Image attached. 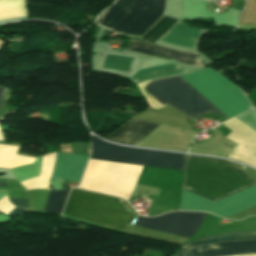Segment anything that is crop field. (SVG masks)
Masks as SVG:
<instances>
[{"label":"crop field","mask_w":256,"mask_h":256,"mask_svg":"<svg viewBox=\"0 0 256 256\" xmlns=\"http://www.w3.org/2000/svg\"><path fill=\"white\" fill-rule=\"evenodd\" d=\"M256 205V185L213 202L182 189L179 210L207 211L221 217Z\"/></svg>","instance_id":"7"},{"label":"crop field","mask_w":256,"mask_h":256,"mask_svg":"<svg viewBox=\"0 0 256 256\" xmlns=\"http://www.w3.org/2000/svg\"><path fill=\"white\" fill-rule=\"evenodd\" d=\"M198 35L199 30L178 23L161 40L192 48Z\"/></svg>","instance_id":"13"},{"label":"crop field","mask_w":256,"mask_h":256,"mask_svg":"<svg viewBox=\"0 0 256 256\" xmlns=\"http://www.w3.org/2000/svg\"><path fill=\"white\" fill-rule=\"evenodd\" d=\"M159 125V123L131 118L117 132L105 139L124 145H136Z\"/></svg>","instance_id":"11"},{"label":"crop field","mask_w":256,"mask_h":256,"mask_svg":"<svg viewBox=\"0 0 256 256\" xmlns=\"http://www.w3.org/2000/svg\"><path fill=\"white\" fill-rule=\"evenodd\" d=\"M127 49L140 52L149 56L160 57L167 60L171 58L186 64L204 67L201 61L195 57V54L177 52V51L170 50L168 48L156 46L146 42L140 43L136 41H130V44L127 47ZM183 72L184 71H182L180 68L174 65L168 64V65L136 70L132 72L131 76L134 79L141 82L151 78L175 75Z\"/></svg>","instance_id":"8"},{"label":"crop field","mask_w":256,"mask_h":256,"mask_svg":"<svg viewBox=\"0 0 256 256\" xmlns=\"http://www.w3.org/2000/svg\"><path fill=\"white\" fill-rule=\"evenodd\" d=\"M244 240H256V231H244L215 235L192 241L183 245L181 248ZM246 253H256V241H244L185 248L180 249L174 256H229Z\"/></svg>","instance_id":"6"},{"label":"crop field","mask_w":256,"mask_h":256,"mask_svg":"<svg viewBox=\"0 0 256 256\" xmlns=\"http://www.w3.org/2000/svg\"><path fill=\"white\" fill-rule=\"evenodd\" d=\"M246 256H256V255H246Z\"/></svg>","instance_id":"23"},{"label":"crop field","mask_w":256,"mask_h":256,"mask_svg":"<svg viewBox=\"0 0 256 256\" xmlns=\"http://www.w3.org/2000/svg\"><path fill=\"white\" fill-rule=\"evenodd\" d=\"M163 10L164 0H118L97 24L122 33L142 35Z\"/></svg>","instance_id":"4"},{"label":"crop field","mask_w":256,"mask_h":256,"mask_svg":"<svg viewBox=\"0 0 256 256\" xmlns=\"http://www.w3.org/2000/svg\"><path fill=\"white\" fill-rule=\"evenodd\" d=\"M205 216L197 212H169L151 218L138 215L134 225L190 238Z\"/></svg>","instance_id":"9"},{"label":"crop field","mask_w":256,"mask_h":256,"mask_svg":"<svg viewBox=\"0 0 256 256\" xmlns=\"http://www.w3.org/2000/svg\"><path fill=\"white\" fill-rule=\"evenodd\" d=\"M91 159L180 170L183 154L119 147L91 136ZM185 157L183 156L182 168Z\"/></svg>","instance_id":"5"},{"label":"crop field","mask_w":256,"mask_h":256,"mask_svg":"<svg viewBox=\"0 0 256 256\" xmlns=\"http://www.w3.org/2000/svg\"><path fill=\"white\" fill-rule=\"evenodd\" d=\"M189 155L187 158V163H186V169H185V174H184V180H183V186L184 188L185 181H186V175H187V170H188V165H189ZM194 157H200V156H194ZM191 157L190 159V165H189V170H188V175H187V181H186V188L198 192L200 194H203L205 196L211 197L213 199H218L224 195H227L233 191H236L242 187H245L251 182L253 184L249 185L252 186L256 184L254 181H252L249 177H247L244 173H242L239 169L235 168L231 164H229L226 161L219 160V159H214V158H207V157H200V158H207V159H213V160H218V161H213V160H207V159H200V158H194ZM247 186V187H249ZM245 187V188H247ZM244 189V188H242ZM240 189V190H242ZM187 190V189H185ZM188 190V191H190ZM238 190V191H240ZM190 191V192H192ZM193 192V193H195ZM237 192V191H236ZM195 193V194H198ZM235 193V192H233ZM198 194V195H200ZM232 194V193H231ZM201 195V196H203ZM230 195V194H229ZM203 196V197H205ZM228 196V195H227ZM206 197V198H208ZM225 197V196H224ZM208 198V199H211ZM223 198V197H222ZM211 199V200H213ZM216 201V200H213Z\"/></svg>","instance_id":"2"},{"label":"crop field","mask_w":256,"mask_h":256,"mask_svg":"<svg viewBox=\"0 0 256 256\" xmlns=\"http://www.w3.org/2000/svg\"><path fill=\"white\" fill-rule=\"evenodd\" d=\"M17 148L0 145V167L13 168L34 162V158L15 155Z\"/></svg>","instance_id":"14"},{"label":"crop field","mask_w":256,"mask_h":256,"mask_svg":"<svg viewBox=\"0 0 256 256\" xmlns=\"http://www.w3.org/2000/svg\"><path fill=\"white\" fill-rule=\"evenodd\" d=\"M4 92H5V89L0 88V103H1Z\"/></svg>","instance_id":"20"},{"label":"crop field","mask_w":256,"mask_h":256,"mask_svg":"<svg viewBox=\"0 0 256 256\" xmlns=\"http://www.w3.org/2000/svg\"><path fill=\"white\" fill-rule=\"evenodd\" d=\"M131 59L129 57L107 55L103 66L129 69Z\"/></svg>","instance_id":"17"},{"label":"crop field","mask_w":256,"mask_h":256,"mask_svg":"<svg viewBox=\"0 0 256 256\" xmlns=\"http://www.w3.org/2000/svg\"><path fill=\"white\" fill-rule=\"evenodd\" d=\"M0 186H6V182H0Z\"/></svg>","instance_id":"21"},{"label":"crop field","mask_w":256,"mask_h":256,"mask_svg":"<svg viewBox=\"0 0 256 256\" xmlns=\"http://www.w3.org/2000/svg\"><path fill=\"white\" fill-rule=\"evenodd\" d=\"M176 21L177 19L162 16L141 39L155 43Z\"/></svg>","instance_id":"15"},{"label":"crop field","mask_w":256,"mask_h":256,"mask_svg":"<svg viewBox=\"0 0 256 256\" xmlns=\"http://www.w3.org/2000/svg\"><path fill=\"white\" fill-rule=\"evenodd\" d=\"M9 200L18 207L28 208L27 199L9 198Z\"/></svg>","instance_id":"18"},{"label":"crop field","mask_w":256,"mask_h":256,"mask_svg":"<svg viewBox=\"0 0 256 256\" xmlns=\"http://www.w3.org/2000/svg\"><path fill=\"white\" fill-rule=\"evenodd\" d=\"M180 79L184 84H186L189 88L193 87L197 92H199L202 96H204L208 101H210L214 106H216L220 111H222L229 118L240 114L250 108H252L251 104L248 100L243 96L242 92L239 88L234 85L232 82L227 80L225 77L217 73L210 67H207L197 73L185 74L181 75V78L175 76ZM175 77H169L164 79L152 80L148 81L141 88L152 97L161 107L164 106L165 101L170 100L176 107L186 111L188 114L194 116L204 111L208 110H217V111H208V112H216L224 115L220 112L216 107H214L210 102H208L205 98H203L199 93H197L193 88L189 89L186 85H184L180 80L172 79L160 82L159 80L171 79ZM150 83L149 85H147ZM147 85V86H146ZM146 86V87H145ZM154 95L152 96L145 88ZM171 102L168 103L174 107L175 109L181 111L185 115L196 118L202 114H206L208 112H204L202 114L196 115L194 117L188 115L184 111L176 108ZM224 115V116H225ZM225 116V117H226ZM226 117L227 119H229Z\"/></svg>","instance_id":"1"},{"label":"crop field","mask_w":256,"mask_h":256,"mask_svg":"<svg viewBox=\"0 0 256 256\" xmlns=\"http://www.w3.org/2000/svg\"><path fill=\"white\" fill-rule=\"evenodd\" d=\"M117 199L116 197L72 189L63 215L123 230L131 213L126 212Z\"/></svg>","instance_id":"3"},{"label":"crop field","mask_w":256,"mask_h":256,"mask_svg":"<svg viewBox=\"0 0 256 256\" xmlns=\"http://www.w3.org/2000/svg\"><path fill=\"white\" fill-rule=\"evenodd\" d=\"M1 139H3V138H2V134H1V131H0V140H1Z\"/></svg>","instance_id":"22"},{"label":"crop field","mask_w":256,"mask_h":256,"mask_svg":"<svg viewBox=\"0 0 256 256\" xmlns=\"http://www.w3.org/2000/svg\"><path fill=\"white\" fill-rule=\"evenodd\" d=\"M222 124L233 130L226 137L238 144L228 157L256 168V132L236 118Z\"/></svg>","instance_id":"10"},{"label":"crop field","mask_w":256,"mask_h":256,"mask_svg":"<svg viewBox=\"0 0 256 256\" xmlns=\"http://www.w3.org/2000/svg\"><path fill=\"white\" fill-rule=\"evenodd\" d=\"M24 209L15 208L13 211H11L8 215L12 217H17Z\"/></svg>","instance_id":"19"},{"label":"crop field","mask_w":256,"mask_h":256,"mask_svg":"<svg viewBox=\"0 0 256 256\" xmlns=\"http://www.w3.org/2000/svg\"><path fill=\"white\" fill-rule=\"evenodd\" d=\"M68 192L69 190L50 191V194L43 212L60 213L64 206Z\"/></svg>","instance_id":"16"},{"label":"crop field","mask_w":256,"mask_h":256,"mask_svg":"<svg viewBox=\"0 0 256 256\" xmlns=\"http://www.w3.org/2000/svg\"><path fill=\"white\" fill-rule=\"evenodd\" d=\"M88 157L57 152L55 168L50 179L64 178L80 181Z\"/></svg>","instance_id":"12"}]
</instances>
